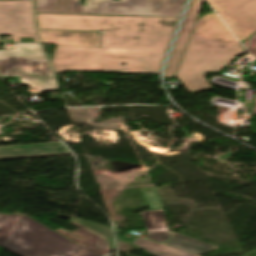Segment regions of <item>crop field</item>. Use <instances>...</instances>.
Here are the masks:
<instances>
[{
    "label": "crop field",
    "mask_w": 256,
    "mask_h": 256,
    "mask_svg": "<svg viewBox=\"0 0 256 256\" xmlns=\"http://www.w3.org/2000/svg\"><path fill=\"white\" fill-rule=\"evenodd\" d=\"M38 28L105 29L101 48L77 47L72 69L158 75L179 18L36 14ZM126 63V66H122Z\"/></svg>",
    "instance_id": "8a807250"
},
{
    "label": "crop field",
    "mask_w": 256,
    "mask_h": 256,
    "mask_svg": "<svg viewBox=\"0 0 256 256\" xmlns=\"http://www.w3.org/2000/svg\"><path fill=\"white\" fill-rule=\"evenodd\" d=\"M244 51L214 12L200 16L176 77L189 92L211 88L202 73L218 72Z\"/></svg>",
    "instance_id": "ac0d7876"
},
{
    "label": "crop field",
    "mask_w": 256,
    "mask_h": 256,
    "mask_svg": "<svg viewBox=\"0 0 256 256\" xmlns=\"http://www.w3.org/2000/svg\"><path fill=\"white\" fill-rule=\"evenodd\" d=\"M0 247L18 256H96L23 215L0 214Z\"/></svg>",
    "instance_id": "34b2d1b8"
},
{
    "label": "crop field",
    "mask_w": 256,
    "mask_h": 256,
    "mask_svg": "<svg viewBox=\"0 0 256 256\" xmlns=\"http://www.w3.org/2000/svg\"><path fill=\"white\" fill-rule=\"evenodd\" d=\"M41 45L14 43V50H0V75L20 77L31 94L59 90Z\"/></svg>",
    "instance_id": "412701ff"
},
{
    "label": "crop field",
    "mask_w": 256,
    "mask_h": 256,
    "mask_svg": "<svg viewBox=\"0 0 256 256\" xmlns=\"http://www.w3.org/2000/svg\"><path fill=\"white\" fill-rule=\"evenodd\" d=\"M186 0H93L92 14L180 17Z\"/></svg>",
    "instance_id": "f4fd0767"
},
{
    "label": "crop field",
    "mask_w": 256,
    "mask_h": 256,
    "mask_svg": "<svg viewBox=\"0 0 256 256\" xmlns=\"http://www.w3.org/2000/svg\"><path fill=\"white\" fill-rule=\"evenodd\" d=\"M0 35H11L14 42L30 37L40 43L34 30L31 0L0 1Z\"/></svg>",
    "instance_id": "dd49c442"
},
{
    "label": "crop field",
    "mask_w": 256,
    "mask_h": 256,
    "mask_svg": "<svg viewBox=\"0 0 256 256\" xmlns=\"http://www.w3.org/2000/svg\"><path fill=\"white\" fill-rule=\"evenodd\" d=\"M208 2L242 43L256 33V0H208Z\"/></svg>",
    "instance_id": "e52e79f7"
},
{
    "label": "crop field",
    "mask_w": 256,
    "mask_h": 256,
    "mask_svg": "<svg viewBox=\"0 0 256 256\" xmlns=\"http://www.w3.org/2000/svg\"><path fill=\"white\" fill-rule=\"evenodd\" d=\"M202 1L203 0H191L182 27L175 42L172 54L170 56L164 77L176 75L184 50L197 21L198 17H196V15L199 13Z\"/></svg>",
    "instance_id": "d8731c3e"
},
{
    "label": "crop field",
    "mask_w": 256,
    "mask_h": 256,
    "mask_svg": "<svg viewBox=\"0 0 256 256\" xmlns=\"http://www.w3.org/2000/svg\"><path fill=\"white\" fill-rule=\"evenodd\" d=\"M71 154L61 142L0 147V159Z\"/></svg>",
    "instance_id": "5a996713"
},
{
    "label": "crop field",
    "mask_w": 256,
    "mask_h": 256,
    "mask_svg": "<svg viewBox=\"0 0 256 256\" xmlns=\"http://www.w3.org/2000/svg\"><path fill=\"white\" fill-rule=\"evenodd\" d=\"M44 43L100 47L97 32L39 30Z\"/></svg>",
    "instance_id": "3316defc"
},
{
    "label": "crop field",
    "mask_w": 256,
    "mask_h": 256,
    "mask_svg": "<svg viewBox=\"0 0 256 256\" xmlns=\"http://www.w3.org/2000/svg\"><path fill=\"white\" fill-rule=\"evenodd\" d=\"M92 0H35L36 13L91 14Z\"/></svg>",
    "instance_id": "28ad6ade"
},
{
    "label": "crop field",
    "mask_w": 256,
    "mask_h": 256,
    "mask_svg": "<svg viewBox=\"0 0 256 256\" xmlns=\"http://www.w3.org/2000/svg\"><path fill=\"white\" fill-rule=\"evenodd\" d=\"M164 208L141 212L148 237L156 242L170 238V232L164 215Z\"/></svg>",
    "instance_id": "d1516ede"
},
{
    "label": "crop field",
    "mask_w": 256,
    "mask_h": 256,
    "mask_svg": "<svg viewBox=\"0 0 256 256\" xmlns=\"http://www.w3.org/2000/svg\"><path fill=\"white\" fill-rule=\"evenodd\" d=\"M172 233H173V238L162 244L173 247V248L181 249L184 251L192 252L195 254H199V255H202L204 253H207L219 248L214 245L202 242L200 240H197L185 235H181L175 232H172Z\"/></svg>",
    "instance_id": "22f410ed"
},
{
    "label": "crop field",
    "mask_w": 256,
    "mask_h": 256,
    "mask_svg": "<svg viewBox=\"0 0 256 256\" xmlns=\"http://www.w3.org/2000/svg\"><path fill=\"white\" fill-rule=\"evenodd\" d=\"M133 244L156 256H199L140 238L133 241Z\"/></svg>",
    "instance_id": "cbeb9de0"
},
{
    "label": "crop field",
    "mask_w": 256,
    "mask_h": 256,
    "mask_svg": "<svg viewBox=\"0 0 256 256\" xmlns=\"http://www.w3.org/2000/svg\"><path fill=\"white\" fill-rule=\"evenodd\" d=\"M75 48L76 47L56 45L52 64L57 73L70 70Z\"/></svg>",
    "instance_id": "5142ce71"
},
{
    "label": "crop field",
    "mask_w": 256,
    "mask_h": 256,
    "mask_svg": "<svg viewBox=\"0 0 256 256\" xmlns=\"http://www.w3.org/2000/svg\"><path fill=\"white\" fill-rule=\"evenodd\" d=\"M71 221L107 238L110 240L109 245L106 249V251L108 252H112L115 251V247H114V238H113V231L111 227H107V226H103L100 224H96L93 222H89V221H85V220H81V219H76L73 218Z\"/></svg>",
    "instance_id": "d9b57169"
},
{
    "label": "crop field",
    "mask_w": 256,
    "mask_h": 256,
    "mask_svg": "<svg viewBox=\"0 0 256 256\" xmlns=\"http://www.w3.org/2000/svg\"><path fill=\"white\" fill-rule=\"evenodd\" d=\"M250 53L256 56V34L243 43Z\"/></svg>",
    "instance_id": "733c2abd"
},
{
    "label": "crop field",
    "mask_w": 256,
    "mask_h": 256,
    "mask_svg": "<svg viewBox=\"0 0 256 256\" xmlns=\"http://www.w3.org/2000/svg\"><path fill=\"white\" fill-rule=\"evenodd\" d=\"M252 114H256V99H255V103H254Z\"/></svg>",
    "instance_id": "4a817a6b"
}]
</instances>
